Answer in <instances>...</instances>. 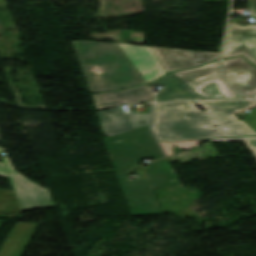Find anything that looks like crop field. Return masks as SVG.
I'll use <instances>...</instances> for the list:
<instances>
[{"label":"crop field","instance_id":"obj_7","mask_svg":"<svg viewBox=\"0 0 256 256\" xmlns=\"http://www.w3.org/2000/svg\"><path fill=\"white\" fill-rule=\"evenodd\" d=\"M166 73L205 64L218 59L219 53L151 47Z\"/></svg>","mask_w":256,"mask_h":256},{"label":"crop field","instance_id":"obj_16","mask_svg":"<svg viewBox=\"0 0 256 256\" xmlns=\"http://www.w3.org/2000/svg\"><path fill=\"white\" fill-rule=\"evenodd\" d=\"M248 118L243 120L247 123L253 130L256 131V109L246 115Z\"/></svg>","mask_w":256,"mask_h":256},{"label":"crop field","instance_id":"obj_18","mask_svg":"<svg viewBox=\"0 0 256 256\" xmlns=\"http://www.w3.org/2000/svg\"><path fill=\"white\" fill-rule=\"evenodd\" d=\"M0 139H1V138H0ZM2 150H4V149H1V148H0V152H1ZM0 176H1V177L8 178L4 164H0Z\"/></svg>","mask_w":256,"mask_h":256},{"label":"crop field","instance_id":"obj_9","mask_svg":"<svg viewBox=\"0 0 256 256\" xmlns=\"http://www.w3.org/2000/svg\"><path fill=\"white\" fill-rule=\"evenodd\" d=\"M242 55L256 65V26L230 23L223 59Z\"/></svg>","mask_w":256,"mask_h":256},{"label":"crop field","instance_id":"obj_10","mask_svg":"<svg viewBox=\"0 0 256 256\" xmlns=\"http://www.w3.org/2000/svg\"><path fill=\"white\" fill-rule=\"evenodd\" d=\"M118 45L126 53L147 83L166 74L150 47L127 44Z\"/></svg>","mask_w":256,"mask_h":256},{"label":"crop field","instance_id":"obj_13","mask_svg":"<svg viewBox=\"0 0 256 256\" xmlns=\"http://www.w3.org/2000/svg\"><path fill=\"white\" fill-rule=\"evenodd\" d=\"M149 85L164 86V90L158 93L156 102L184 99H204L171 73L158 81L150 83Z\"/></svg>","mask_w":256,"mask_h":256},{"label":"crop field","instance_id":"obj_17","mask_svg":"<svg viewBox=\"0 0 256 256\" xmlns=\"http://www.w3.org/2000/svg\"><path fill=\"white\" fill-rule=\"evenodd\" d=\"M249 17H256V0H249Z\"/></svg>","mask_w":256,"mask_h":256},{"label":"crop field","instance_id":"obj_2","mask_svg":"<svg viewBox=\"0 0 256 256\" xmlns=\"http://www.w3.org/2000/svg\"><path fill=\"white\" fill-rule=\"evenodd\" d=\"M199 103L205 107V112L194 108L192 101L155 104V125L152 129L158 140L179 141L256 135V132L243 121H238L234 115L255 106L256 102L214 100Z\"/></svg>","mask_w":256,"mask_h":256},{"label":"crop field","instance_id":"obj_11","mask_svg":"<svg viewBox=\"0 0 256 256\" xmlns=\"http://www.w3.org/2000/svg\"><path fill=\"white\" fill-rule=\"evenodd\" d=\"M152 96L147 86L144 85L130 90L94 95L92 97L95 102L96 108L101 109L106 107L118 106L121 104H131L135 102H145L153 100Z\"/></svg>","mask_w":256,"mask_h":256},{"label":"crop field","instance_id":"obj_14","mask_svg":"<svg viewBox=\"0 0 256 256\" xmlns=\"http://www.w3.org/2000/svg\"><path fill=\"white\" fill-rule=\"evenodd\" d=\"M200 141H204V140L186 141V142H180V143H163V142H160V144L163 147L166 155L169 156V155L173 154L172 151H171V149H173L171 144H176L178 148L188 150L190 148H193V147L199 145Z\"/></svg>","mask_w":256,"mask_h":256},{"label":"crop field","instance_id":"obj_4","mask_svg":"<svg viewBox=\"0 0 256 256\" xmlns=\"http://www.w3.org/2000/svg\"><path fill=\"white\" fill-rule=\"evenodd\" d=\"M217 63L218 61L200 68L173 72V75L182 80L205 99H245L222 82L218 74Z\"/></svg>","mask_w":256,"mask_h":256},{"label":"crop field","instance_id":"obj_6","mask_svg":"<svg viewBox=\"0 0 256 256\" xmlns=\"http://www.w3.org/2000/svg\"><path fill=\"white\" fill-rule=\"evenodd\" d=\"M17 199L22 209L53 207L48 190L15 172L8 157L4 158Z\"/></svg>","mask_w":256,"mask_h":256},{"label":"crop field","instance_id":"obj_12","mask_svg":"<svg viewBox=\"0 0 256 256\" xmlns=\"http://www.w3.org/2000/svg\"><path fill=\"white\" fill-rule=\"evenodd\" d=\"M38 227L37 224L16 223L0 249V256H22Z\"/></svg>","mask_w":256,"mask_h":256},{"label":"crop field","instance_id":"obj_1","mask_svg":"<svg viewBox=\"0 0 256 256\" xmlns=\"http://www.w3.org/2000/svg\"><path fill=\"white\" fill-rule=\"evenodd\" d=\"M133 216L162 214L152 189L182 186L167 159L151 162L148 180L127 182L125 173L141 159L164 157L149 128L103 139Z\"/></svg>","mask_w":256,"mask_h":256},{"label":"crop field","instance_id":"obj_15","mask_svg":"<svg viewBox=\"0 0 256 256\" xmlns=\"http://www.w3.org/2000/svg\"><path fill=\"white\" fill-rule=\"evenodd\" d=\"M209 141H244L248 146L252 154L256 158V136L253 137H240V138H228V139H215Z\"/></svg>","mask_w":256,"mask_h":256},{"label":"crop field","instance_id":"obj_8","mask_svg":"<svg viewBox=\"0 0 256 256\" xmlns=\"http://www.w3.org/2000/svg\"><path fill=\"white\" fill-rule=\"evenodd\" d=\"M222 72L238 92L253 98L256 96V67L243 57L222 61Z\"/></svg>","mask_w":256,"mask_h":256},{"label":"crop field","instance_id":"obj_5","mask_svg":"<svg viewBox=\"0 0 256 256\" xmlns=\"http://www.w3.org/2000/svg\"><path fill=\"white\" fill-rule=\"evenodd\" d=\"M148 114L137 111L125 113L122 107L96 113L105 136H113L152 124V106H147ZM145 121V124H141Z\"/></svg>","mask_w":256,"mask_h":256},{"label":"crop field","instance_id":"obj_19","mask_svg":"<svg viewBox=\"0 0 256 256\" xmlns=\"http://www.w3.org/2000/svg\"><path fill=\"white\" fill-rule=\"evenodd\" d=\"M256 107V106H255ZM254 108V107H253ZM250 109H252V108H250ZM249 110V109H248ZM247 111V110H246ZM244 112V111H243Z\"/></svg>","mask_w":256,"mask_h":256},{"label":"crop field","instance_id":"obj_20","mask_svg":"<svg viewBox=\"0 0 256 256\" xmlns=\"http://www.w3.org/2000/svg\"><path fill=\"white\" fill-rule=\"evenodd\" d=\"M254 99H256V97H254Z\"/></svg>","mask_w":256,"mask_h":256},{"label":"crop field","instance_id":"obj_3","mask_svg":"<svg viewBox=\"0 0 256 256\" xmlns=\"http://www.w3.org/2000/svg\"><path fill=\"white\" fill-rule=\"evenodd\" d=\"M92 94L144 83L116 44L74 41Z\"/></svg>","mask_w":256,"mask_h":256}]
</instances>
